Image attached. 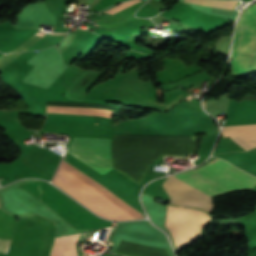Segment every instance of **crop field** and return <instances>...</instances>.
<instances>
[{"mask_svg":"<svg viewBox=\"0 0 256 256\" xmlns=\"http://www.w3.org/2000/svg\"><path fill=\"white\" fill-rule=\"evenodd\" d=\"M111 138L74 136L68 152L100 173L113 168ZM53 183L91 211L112 220L135 219L60 167Z\"/></svg>","mask_w":256,"mask_h":256,"instance_id":"crop-field-2","label":"crop field"},{"mask_svg":"<svg viewBox=\"0 0 256 256\" xmlns=\"http://www.w3.org/2000/svg\"><path fill=\"white\" fill-rule=\"evenodd\" d=\"M186 2L203 5V6H210V7H217V8H224L233 10L237 1H228V0H184Z\"/></svg>","mask_w":256,"mask_h":256,"instance_id":"crop-field-10","label":"crop field"},{"mask_svg":"<svg viewBox=\"0 0 256 256\" xmlns=\"http://www.w3.org/2000/svg\"><path fill=\"white\" fill-rule=\"evenodd\" d=\"M224 137H230L245 150L256 147V124L223 127Z\"/></svg>","mask_w":256,"mask_h":256,"instance_id":"crop-field-6","label":"crop field"},{"mask_svg":"<svg viewBox=\"0 0 256 256\" xmlns=\"http://www.w3.org/2000/svg\"><path fill=\"white\" fill-rule=\"evenodd\" d=\"M209 218L208 214L201 211L168 206L164 226L180 249L199 238V233Z\"/></svg>","mask_w":256,"mask_h":256,"instance_id":"crop-field-5","label":"crop field"},{"mask_svg":"<svg viewBox=\"0 0 256 256\" xmlns=\"http://www.w3.org/2000/svg\"><path fill=\"white\" fill-rule=\"evenodd\" d=\"M138 1H140V0H133V1H130V2L126 3V4H124V5L120 4V5H122V6L118 5V6H120V7L116 6V7H118V8L114 7V8H116V9L112 8V9H114V10L110 9V10H112V11L108 10V11H110V12H108V11H106V12L113 14V13H115V12H117V11H119V10H121V9H123V8H125V7H127V6H129V5H131V4H134V3L138 2Z\"/></svg>","mask_w":256,"mask_h":256,"instance_id":"crop-field-12","label":"crop field"},{"mask_svg":"<svg viewBox=\"0 0 256 256\" xmlns=\"http://www.w3.org/2000/svg\"><path fill=\"white\" fill-rule=\"evenodd\" d=\"M93 1H94V0H87L86 2H88V3L91 4Z\"/></svg>","mask_w":256,"mask_h":256,"instance_id":"crop-field-14","label":"crop field"},{"mask_svg":"<svg viewBox=\"0 0 256 256\" xmlns=\"http://www.w3.org/2000/svg\"><path fill=\"white\" fill-rule=\"evenodd\" d=\"M114 253L126 256H169L164 248L120 239Z\"/></svg>","mask_w":256,"mask_h":256,"instance_id":"crop-field-7","label":"crop field"},{"mask_svg":"<svg viewBox=\"0 0 256 256\" xmlns=\"http://www.w3.org/2000/svg\"><path fill=\"white\" fill-rule=\"evenodd\" d=\"M80 234L55 239L51 256H77L76 243Z\"/></svg>","mask_w":256,"mask_h":256,"instance_id":"crop-field-8","label":"crop field"},{"mask_svg":"<svg viewBox=\"0 0 256 256\" xmlns=\"http://www.w3.org/2000/svg\"><path fill=\"white\" fill-rule=\"evenodd\" d=\"M47 113L100 115L110 118L112 112L100 109L47 106Z\"/></svg>","mask_w":256,"mask_h":256,"instance_id":"crop-field-9","label":"crop field"},{"mask_svg":"<svg viewBox=\"0 0 256 256\" xmlns=\"http://www.w3.org/2000/svg\"><path fill=\"white\" fill-rule=\"evenodd\" d=\"M21 186L80 232L102 227L100 223L78 208L50 185L39 181H33Z\"/></svg>","mask_w":256,"mask_h":256,"instance_id":"crop-field-3","label":"crop field"},{"mask_svg":"<svg viewBox=\"0 0 256 256\" xmlns=\"http://www.w3.org/2000/svg\"><path fill=\"white\" fill-rule=\"evenodd\" d=\"M180 175L220 194L229 192L252 190L256 185V177L231 166L225 161L215 160L194 170H188ZM178 174L169 176L211 197L219 196L216 193L180 176ZM163 183V187L170 197V203L183 206L203 207L212 211V198L196 191L171 178Z\"/></svg>","mask_w":256,"mask_h":256,"instance_id":"crop-field-1","label":"crop field"},{"mask_svg":"<svg viewBox=\"0 0 256 256\" xmlns=\"http://www.w3.org/2000/svg\"><path fill=\"white\" fill-rule=\"evenodd\" d=\"M242 17L256 21V3ZM242 17L235 32L231 73L256 71V22Z\"/></svg>","mask_w":256,"mask_h":256,"instance_id":"crop-field-4","label":"crop field"},{"mask_svg":"<svg viewBox=\"0 0 256 256\" xmlns=\"http://www.w3.org/2000/svg\"><path fill=\"white\" fill-rule=\"evenodd\" d=\"M13 142L21 149V151L24 150V147L21 144H18L15 141H13Z\"/></svg>","mask_w":256,"mask_h":256,"instance_id":"crop-field-13","label":"crop field"},{"mask_svg":"<svg viewBox=\"0 0 256 256\" xmlns=\"http://www.w3.org/2000/svg\"><path fill=\"white\" fill-rule=\"evenodd\" d=\"M12 240L0 238V252L7 253Z\"/></svg>","mask_w":256,"mask_h":256,"instance_id":"crop-field-11","label":"crop field"}]
</instances>
